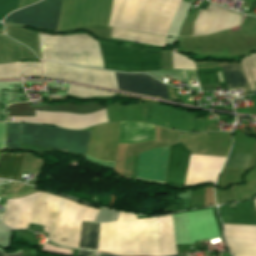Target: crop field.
I'll return each instance as SVG.
<instances>
[{
    "mask_svg": "<svg viewBox=\"0 0 256 256\" xmlns=\"http://www.w3.org/2000/svg\"><path fill=\"white\" fill-rule=\"evenodd\" d=\"M98 210L44 193L7 200L4 221L14 229L27 228L29 222L49 227L48 238L61 246H79L82 220L94 221Z\"/></svg>",
    "mask_w": 256,
    "mask_h": 256,
    "instance_id": "crop-field-1",
    "label": "crop field"
},
{
    "mask_svg": "<svg viewBox=\"0 0 256 256\" xmlns=\"http://www.w3.org/2000/svg\"><path fill=\"white\" fill-rule=\"evenodd\" d=\"M97 251L161 256L156 218L136 220V216L119 213L118 221L100 223Z\"/></svg>",
    "mask_w": 256,
    "mask_h": 256,
    "instance_id": "crop-field-2",
    "label": "crop field"
},
{
    "mask_svg": "<svg viewBox=\"0 0 256 256\" xmlns=\"http://www.w3.org/2000/svg\"><path fill=\"white\" fill-rule=\"evenodd\" d=\"M42 59L104 68L97 41L85 34L70 36L39 35Z\"/></svg>",
    "mask_w": 256,
    "mask_h": 256,
    "instance_id": "crop-field-3",
    "label": "crop field"
},
{
    "mask_svg": "<svg viewBox=\"0 0 256 256\" xmlns=\"http://www.w3.org/2000/svg\"><path fill=\"white\" fill-rule=\"evenodd\" d=\"M90 132L21 124V142L84 154Z\"/></svg>",
    "mask_w": 256,
    "mask_h": 256,
    "instance_id": "crop-field-4",
    "label": "crop field"
},
{
    "mask_svg": "<svg viewBox=\"0 0 256 256\" xmlns=\"http://www.w3.org/2000/svg\"><path fill=\"white\" fill-rule=\"evenodd\" d=\"M104 67L107 70L141 72L162 70L161 54L156 51L118 48L100 45Z\"/></svg>",
    "mask_w": 256,
    "mask_h": 256,
    "instance_id": "crop-field-5",
    "label": "crop field"
},
{
    "mask_svg": "<svg viewBox=\"0 0 256 256\" xmlns=\"http://www.w3.org/2000/svg\"><path fill=\"white\" fill-rule=\"evenodd\" d=\"M43 77L77 81L93 86L118 90L115 75L111 72L78 68L60 63L43 61Z\"/></svg>",
    "mask_w": 256,
    "mask_h": 256,
    "instance_id": "crop-field-6",
    "label": "crop field"
},
{
    "mask_svg": "<svg viewBox=\"0 0 256 256\" xmlns=\"http://www.w3.org/2000/svg\"><path fill=\"white\" fill-rule=\"evenodd\" d=\"M60 0H42L8 15L4 23L26 24L37 28L55 29Z\"/></svg>",
    "mask_w": 256,
    "mask_h": 256,
    "instance_id": "crop-field-7",
    "label": "crop field"
},
{
    "mask_svg": "<svg viewBox=\"0 0 256 256\" xmlns=\"http://www.w3.org/2000/svg\"><path fill=\"white\" fill-rule=\"evenodd\" d=\"M119 122L93 127L86 155L102 161H115L118 146Z\"/></svg>",
    "mask_w": 256,
    "mask_h": 256,
    "instance_id": "crop-field-8",
    "label": "crop field"
},
{
    "mask_svg": "<svg viewBox=\"0 0 256 256\" xmlns=\"http://www.w3.org/2000/svg\"><path fill=\"white\" fill-rule=\"evenodd\" d=\"M145 105L146 122L184 131L193 128V115L188 114L189 112L187 113L161 105Z\"/></svg>",
    "mask_w": 256,
    "mask_h": 256,
    "instance_id": "crop-field-9",
    "label": "crop field"
},
{
    "mask_svg": "<svg viewBox=\"0 0 256 256\" xmlns=\"http://www.w3.org/2000/svg\"><path fill=\"white\" fill-rule=\"evenodd\" d=\"M168 150L169 146L140 154L135 178L163 183L167 166Z\"/></svg>",
    "mask_w": 256,
    "mask_h": 256,
    "instance_id": "crop-field-10",
    "label": "crop field"
},
{
    "mask_svg": "<svg viewBox=\"0 0 256 256\" xmlns=\"http://www.w3.org/2000/svg\"><path fill=\"white\" fill-rule=\"evenodd\" d=\"M115 74L119 90L168 100L165 85L145 74Z\"/></svg>",
    "mask_w": 256,
    "mask_h": 256,
    "instance_id": "crop-field-11",
    "label": "crop field"
},
{
    "mask_svg": "<svg viewBox=\"0 0 256 256\" xmlns=\"http://www.w3.org/2000/svg\"><path fill=\"white\" fill-rule=\"evenodd\" d=\"M189 155L190 152L180 142L171 146L165 182L183 185Z\"/></svg>",
    "mask_w": 256,
    "mask_h": 256,
    "instance_id": "crop-field-12",
    "label": "crop field"
},
{
    "mask_svg": "<svg viewBox=\"0 0 256 256\" xmlns=\"http://www.w3.org/2000/svg\"><path fill=\"white\" fill-rule=\"evenodd\" d=\"M155 140L154 126L138 122H120L119 143Z\"/></svg>",
    "mask_w": 256,
    "mask_h": 256,
    "instance_id": "crop-field-13",
    "label": "crop field"
},
{
    "mask_svg": "<svg viewBox=\"0 0 256 256\" xmlns=\"http://www.w3.org/2000/svg\"><path fill=\"white\" fill-rule=\"evenodd\" d=\"M158 228L162 256L177 254L171 215L158 217Z\"/></svg>",
    "mask_w": 256,
    "mask_h": 256,
    "instance_id": "crop-field-14",
    "label": "crop field"
},
{
    "mask_svg": "<svg viewBox=\"0 0 256 256\" xmlns=\"http://www.w3.org/2000/svg\"><path fill=\"white\" fill-rule=\"evenodd\" d=\"M24 153H1L0 177L18 179Z\"/></svg>",
    "mask_w": 256,
    "mask_h": 256,
    "instance_id": "crop-field-15",
    "label": "crop field"
},
{
    "mask_svg": "<svg viewBox=\"0 0 256 256\" xmlns=\"http://www.w3.org/2000/svg\"><path fill=\"white\" fill-rule=\"evenodd\" d=\"M99 235V223L83 221L79 249L96 251Z\"/></svg>",
    "mask_w": 256,
    "mask_h": 256,
    "instance_id": "crop-field-16",
    "label": "crop field"
},
{
    "mask_svg": "<svg viewBox=\"0 0 256 256\" xmlns=\"http://www.w3.org/2000/svg\"><path fill=\"white\" fill-rule=\"evenodd\" d=\"M234 256H256V239L225 238Z\"/></svg>",
    "mask_w": 256,
    "mask_h": 256,
    "instance_id": "crop-field-17",
    "label": "crop field"
},
{
    "mask_svg": "<svg viewBox=\"0 0 256 256\" xmlns=\"http://www.w3.org/2000/svg\"><path fill=\"white\" fill-rule=\"evenodd\" d=\"M228 89L247 86L241 66H221Z\"/></svg>",
    "mask_w": 256,
    "mask_h": 256,
    "instance_id": "crop-field-18",
    "label": "crop field"
},
{
    "mask_svg": "<svg viewBox=\"0 0 256 256\" xmlns=\"http://www.w3.org/2000/svg\"><path fill=\"white\" fill-rule=\"evenodd\" d=\"M223 225L225 237L256 238V226L232 224Z\"/></svg>",
    "mask_w": 256,
    "mask_h": 256,
    "instance_id": "crop-field-19",
    "label": "crop field"
},
{
    "mask_svg": "<svg viewBox=\"0 0 256 256\" xmlns=\"http://www.w3.org/2000/svg\"><path fill=\"white\" fill-rule=\"evenodd\" d=\"M69 95L90 98L94 96H113L114 94L69 84L67 93Z\"/></svg>",
    "mask_w": 256,
    "mask_h": 256,
    "instance_id": "crop-field-20",
    "label": "crop field"
},
{
    "mask_svg": "<svg viewBox=\"0 0 256 256\" xmlns=\"http://www.w3.org/2000/svg\"><path fill=\"white\" fill-rule=\"evenodd\" d=\"M251 155L230 152L224 166L246 169Z\"/></svg>",
    "mask_w": 256,
    "mask_h": 256,
    "instance_id": "crop-field-21",
    "label": "crop field"
},
{
    "mask_svg": "<svg viewBox=\"0 0 256 256\" xmlns=\"http://www.w3.org/2000/svg\"><path fill=\"white\" fill-rule=\"evenodd\" d=\"M19 123H7V148H19Z\"/></svg>",
    "mask_w": 256,
    "mask_h": 256,
    "instance_id": "crop-field-22",
    "label": "crop field"
},
{
    "mask_svg": "<svg viewBox=\"0 0 256 256\" xmlns=\"http://www.w3.org/2000/svg\"><path fill=\"white\" fill-rule=\"evenodd\" d=\"M197 79L200 85L219 82L215 70L211 71H196Z\"/></svg>",
    "mask_w": 256,
    "mask_h": 256,
    "instance_id": "crop-field-23",
    "label": "crop field"
},
{
    "mask_svg": "<svg viewBox=\"0 0 256 256\" xmlns=\"http://www.w3.org/2000/svg\"><path fill=\"white\" fill-rule=\"evenodd\" d=\"M22 75H41L40 63H21Z\"/></svg>",
    "mask_w": 256,
    "mask_h": 256,
    "instance_id": "crop-field-24",
    "label": "crop field"
},
{
    "mask_svg": "<svg viewBox=\"0 0 256 256\" xmlns=\"http://www.w3.org/2000/svg\"><path fill=\"white\" fill-rule=\"evenodd\" d=\"M78 255H82V256H95V253H91V252H85V251H80Z\"/></svg>",
    "mask_w": 256,
    "mask_h": 256,
    "instance_id": "crop-field-25",
    "label": "crop field"
},
{
    "mask_svg": "<svg viewBox=\"0 0 256 256\" xmlns=\"http://www.w3.org/2000/svg\"><path fill=\"white\" fill-rule=\"evenodd\" d=\"M0 256H9V255H5V254H3V253L0 252ZM13 256H21V252L15 254V255H13Z\"/></svg>",
    "mask_w": 256,
    "mask_h": 256,
    "instance_id": "crop-field-26",
    "label": "crop field"
},
{
    "mask_svg": "<svg viewBox=\"0 0 256 256\" xmlns=\"http://www.w3.org/2000/svg\"><path fill=\"white\" fill-rule=\"evenodd\" d=\"M43 229H44V233H47V232H48V228L43 227ZM45 235H46V237H47V234H45Z\"/></svg>",
    "mask_w": 256,
    "mask_h": 256,
    "instance_id": "crop-field-27",
    "label": "crop field"
},
{
    "mask_svg": "<svg viewBox=\"0 0 256 256\" xmlns=\"http://www.w3.org/2000/svg\"><path fill=\"white\" fill-rule=\"evenodd\" d=\"M99 256H109V255H106V254H99Z\"/></svg>",
    "mask_w": 256,
    "mask_h": 256,
    "instance_id": "crop-field-28",
    "label": "crop field"
},
{
    "mask_svg": "<svg viewBox=\"0 0 256 256\" xmlns=\"http://www.w3.org/2000/svg\"><path fill=\"white\" fill-rule=\"evenodd\" d=\"M254 202H255V206H256V200H254Z\"/></svg>",
    "mask_w": 256,
    "mask_h": 256,
    "instance_id": "crop-field-29",
    "label": "crop field"
},
{
    "mask_svg": "<svg viewBox=\"0 0 256 256\" xmlns=\"http://www.w3.org/2000/svg\"><path fill=\"white\" fill-rule=\"evenodd\" d=\"M55 97H60V96H55Z\"/></svg>",
    "mask_w": 256,
    "mask_h": 256,
    "instance_id": "crop-field-30",
    "label": "crop field"
}]
</instances>
